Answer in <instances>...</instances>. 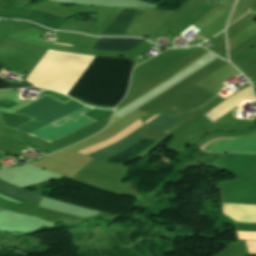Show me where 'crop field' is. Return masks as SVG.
Returning <instances> with one entry per match:
<instances>
[{"label":"crop field","instance_id":"1","mask_svg":"<svg viewBox=\"0 0 256 256\" xmlns=\"http://www.w3.org/2000/svg\"><path fill=\"white\" fill-rule=\"evenodd\" d=\"M92 56L48 50L26 80L64 93ZM132 60L93 56L65 94L99 106L115 107L125 95Z\"/></svg>","mask_w":256,"mask_h":256},{"label":"crop field","instance_id":"2","mask_svg":"<svg viewBox=\"0 0 256 256\" xmlns=\"http://www.w3.org/2000/svg\"><path fill=\"white\" fill-rule=\"evenodd\" d=\"M78 106L80 105L74 101L62 105L45 97L16 112L17 114L35 118L34 120L16 129L31 135L46 125L50 124L51 122L55 121L56 119L72 111L73 109L77 108ZM89 109L91 108L82 105L76 110L43 128L42 130L36 132L32 136L49 142L67 136L95 121L82 114Z\"/></svg>","mask_w":256,"mask_h":256},{"label":"crop field","instance_id":"3","mask_svg":"<svg viewBox=\"0 0 256 256\" xmlns=\"http://www.w3.org/2000/svg\"><path fill=\"white\" fill-rule=\"evenodd\" d=\"M141 129H142V126L136 131L132 132L131 134L127 135L126 137L118 141L117 143L110 145L106 148L100 149L98 151L89 153L87 154V156L106 161L107 159L111 158L115 154L129 148L135 142L140 140L142 138ZM154 142L155 141L143 138L140 141H138L136 144H134L132 147H130L128 150L114 156L108 161L121 164L129 160L131 157L145 150L146 148L151 146Z\"/></svg>","mask_w":256,"mask_h":256},{"label":"crop field","instance_id":"4","mask_svg":"<svg viewBox=\"0 0 256 256\" xmlns=\"http://www.w3.org/2000/svg\"><path fill=\"white\" fill-rule=\"evenodd\" d=\"M199 149L208 153L256 154V133L242 138L215 137Z\"/></svg>","mask_w":256,"mask_h":256},{"label":"crop field","instance_id":"5","mask_svg":"<svg viewBox=\"0 0 256 256\" xmlns=\"http://www.w3.org/2000/svg\"><path fill=\"white\" fill-rule=\"evenodd\" d=\"M145 11L124 9L103 33L124 34Z\"/></svg>","mask_w":256,"mask_h":256},{"label":"crop field","instance_id":"6","mask_svg":"<svg viewBox=\"0 0 256 256\" xmlns=\"http://www.w3.org/2000/svg\"><path fill=\"white\" fill-rule=\"evenodd\" d=\"M143 39L135 38H101L93 49L115 52H127L138 45Z\"/></svg>","mask_w":256,"mask_h":256},{"label":"crop field","instance_id":"7","mask_svg":"<svg viewBox=\"0 0 256 256\" xmlns=\"http://www.w3.org/2000/svg\"><path fill=\"white\" fill-rule=\"evenodd\" d=\"M159 116H155L152 119L144 122V123H149L152 120L156 119ZM181 121L170 117V116H161L157 118L156 120L152 121L151 123L147 124L157 130L163 131L165 133L169 132L171 129H173L175 126H177Z\"/></svg>","mask_w":256,"mask_h":256},{"label":"crop field","instance_id":"8","mask_svg":"<svg viewBox=\"0 0 256 256\" xmlns=\"http://www.w3.org/2000/svg\"><path fill=\"white\" fill-rule=\"evenodd\" d=\"M0 190L4 191L6 193H9V194L18 196L20 198L32 201V202L37 203V204L39 203V201L41 199V196H38V195L33 194V193H30L28 191H23V190H21L19 188H16L14 186L6 184V183H4L2 181H0Z\"/></svg>","mask_w":256,"mask_h":256},{"label":"crop field","instance_id":"9","mask_svg":"<svg viewBox=\"0 0 256 256\" xmlns=\"http://www.w3.org/2000/svg\"><path fill=\"white\" fill-rule=\"evenodd\" d=\"M2 67V64H0V69ZM9 85L8 82L0 78V89H8Z\"/></svg>","mask_w":256,"mask_h":256},{"label":"crop field","instance_id":"10","mask_svg":"<svg viewBox=\"0 0 256 256\" xmlns=\"http://www.w3.org/2000/svg\"><path fill=\"white\" fill-rule=\"evenodd\" d=\"M243 256H256V254H247V255H243Z\"/></svg>","mask_w":256,"mask_h":256},{"label":"crop field","instance_id":"11","mask_svg":"<svg viewBox=\"0 0 256 256\" xmlns=\"http://www.w3.org/2000/svg\"><path fill=\"white\" fill-rule=\"evenodd\" d=\"M253 87H254V90H255V94H256V84H254V85H253Z\"/></svg>","mask_w":256,"mask_h":256},{"label":"crop field","instance_id":"12","mask_svg":"<svg viewBox=\"0 0 256 256\" xmlns=\"http://www.w3.org/2000/svg\"><path fill=\"white\" fill-rule=\"evenodd\" d=\"M59 44V43H58ZM65 45V44H64ZM71 46V45H70Z\"/></svg>","mask_w":256,"mask_h":256}]
</instances>
